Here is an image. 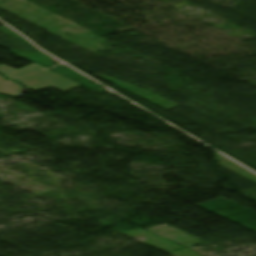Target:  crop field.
<instances>
[{
  "instance_id": "1",
  "label": "crop field",
  "mask_w": 256,
  "mask_h": 256,
  "mask_svg": "<svg viewBox=\"0 0 256 256\" xmlns=\"http://www.w3.org/2000/svg\"><path fill=\"white\" fill-rule=\"evenodd\" d=\"M21 89L22 87L20 85L12 83L0 76V94L20 98L19 95L24 93L20 91Z\"/></svg>"
}]
</instances>
